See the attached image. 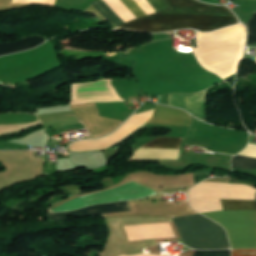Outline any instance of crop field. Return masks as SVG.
Instances as JSON below:
<instances>
[{"mask_svg": "<svg viewBox=\"0 0 256 256\" xmlns=\"http://www.w3.org/2000/svg\"><path fill=\"white\" fill-rule=\"evenodd\" d=\"M232 168H240V169L256 168V159L236 156L232 161Z\"/></svg>", "mask_w": 256, "mask_h": 256, "instance_id": "obj_12", "label": "crop field"}, {"mask_svg": "<svg viewBox=\"0 0 256 256\" xmlns=\"http://www.w3.org/2000/svg\"><path fill=\"white\" fill-rule=\"evenodd\" d=\"M127 211H131L127 202H122V203L89 206L85 209L71 211V212H64L59 214L49 213L47 218L54 221H63L67 217L95 216L99 214L127 212Z\"/></svg>", "mask_w": 256, "mask_h": 256, "instance_id": "obj_7", "label": "crop field"}, {"mask_svg": "<svg viewBox=\"0 0 256 256\" xmlns=\"http://www.w3.org/2000/svg\"><path fill=\"white\" fill-rule=\"evenodd\" d=\"M203 215L226 229L232 248L256 249V210L217 211Z\"/></svg>", "mask_w": 256, "mask_h": 256, "instance_id": "obj_3", "label": "crop field"}, {"mask_svg": "<svg viewBox=\"0 0 256 256\" xmlns=\"http://www.w3.org/2000/svg\"><path fill=\"white\" fill-rule=\"evenodd\" d=\"M44 41L45 38L35 35L19 41L0 43V55L32 48Z\"/></svg>", "mask_w": 256, "mask_h": 256, "instance_id": "obj_9", "label": "crop field"}, {"mask_svg": "<svg viewBox=\"0 0 256 256\" xmlns=\"http://www.w3.org/2000/svg\"><path fill=\"white\" fill-rule=\"evenodd\" d=\"M189 194H228L256 196V189L244 184L228 183H201L190 189ZM228 195H188L194 210L204 213L208 211L222 210L219 199H248L256 197L228 196Z\"/></svg>", "mask_w": 256, "mask_h": 256, "instance_id": "obj_4", "label": "crop field"}, {"mask_svg": "<svg viewBox=\"0 0 256 256\" xmlns=\"http://www.w3.org/2000/svg\"><path fill=\"white\" fill-rule=\"evenodd\" d=\"M152 123H162V124H171V125H179V126H186L189 127L191 124V118L188 113L181 111L179 109L166 107L162 105L156 104L155 111L153 117L147 121ZM146 122V123H147ZM145 123V124H146ZM144 124V125H145ZM143 125V126H144ZM142 127V126H141ZM136 132V131H135ZM132 135V134H131ZM126 137L125 139H127ZM124 139V140H125ZM123 141V140H122ZM121 142V141H120ZM119 142V143H120ZM118 144V143H117ZM116 145V144H115ZM105 150V149H104ZM100 151V150H97ZM69 152V148H68ZM92 152V151H86ZM77 153V152H72Z\"/></svg>", "mask_w": 256, "mask_h": 256, "instance_id": "obj_8", "label": "crop field"}, {"mask_svg": "<svg viewBox=\"0 0 256 256\" xmlns=\"http://www.w3.org/2000/svg\"><path fill=\"white\" fill-rule=\"evenodd\" d=\"M223 210L256 209V201L220 200Z\"/></svg>", "mask_w": 256, "mask_h": 256, "instance_id": "obj_10", "label": "crop field"}, {"mask_svg": "<svg viewBox=\"0 0 256 256\" xmlns=\"http://www.w3.org/2000/svg\"><path fill=\"white\" fill-rule=\"evenodd\" d=\"M182 139H170V138H161L153 140L143 147L147 148H168V149H179Z\"/></svg>", "mask_w": 256, "mask_h": 256, "instance_id": "obj_11", "label": "crop field"}, {"mask_svg": "<svg viewBox=\"0 0 256 256\" xmlns=\"http://www.w3.org/2000/svg\"><path fill=\"white\" fill-rule=\"evenodd\" d=\"M157 194L156 192L141 186L133 181H130L120 187H116L101 193L82 197L83 202L89 206L98 203L118 201V200H133ZM79 198H76L51 212H64L78 209L86 206Z\"/></svg>", "mask_w": 256, "mask_h": 256, "instance_id": "obj_5", "label": "crop field"}, {"mask_svg": "<svg viewBox=\"0 0 256 256\" xmlns=\"http://www.w3.org/2000/svg\"><path fill=\"white\" fill-rule=\"evenodd\" d=\"M194 256H230V250L195 251Z\"/></svg>", "mask_w": 256, "mask_h": 256, "instance_id": "obj_14", "label": "crop field"}, {"mask_svg": "<svg viewBox=\"0 0 256 256\" xmlns=\"http://www.w3.org/2000/svg\"><path fill=\"white\" fill-rule=\"evenodd\" d=\"M232 256H256V250H233Z\"/></svg>", "mask_w": 256, "mask_h": 256, "instance_id": "obj_15", "label": "crop field"}, {"mask_svg": "<svg viewBox=\"0 0 256 256\" xmlns=\"http://www.w3.org/2000/svg\"><path fill=\"white\" fill-rule=\"evenodd\" d=\"M125 6L133 13L135 17L146 16L142 10L133 2V0H121ZM156 12L167 9L164 0H147ZM113 27L124 23L118 15L107 5L104 0H96L91 3Z\"/></svg>", "mask_w": 256, "mask_h": 256, "instance_id": "obj_6", "label": "crop field"}, {"mask_svg": "<svg viewBox=\"0 0 256 256\" xmlns=\"http://www.w3.org/2000/svg\"><path fill=\"white\" fill-rule=\"evenodd\" d=\"M166 1V0H165ZM168 11L134 20L116 29L143 32L173 31L195 28L201 31H212L235 24L233 16L226 8L202 4L196 0H167ZM166 2V3H167ZM238 23V21H237ZM114 29V28H113Z\"/></svg>", "mask_w": 256, "mask_h": 256, "instance_id": "obj_1", "label": "crop field"}, {"mask_svg": "<svg viewBox=\"0 0 256 256\" xmlns=\"http://www.w3.org/2000/svg\"><path fill=\"white\" fill-rule=\"evenodd\" d=\"M185 245L192 249L229 248L224 229L217 223L194 214L172 217Z\"/></svg>", "mask_w": 256, "mask_h": 256, "instance_id": "obj_2", "label": "crop field"}, {"mask_svg": "<svg viewBox=\"0 0 256 256\" xmlns=\"http://www.w3.org/2000/svg\"><path fill=\"white\" fill-rule=\"evenodd\" d=\"M246 26L248 28L247 41L256 42V12Z\"/></svg>", "mask_w": 256, "mask_h": 256, "instance_id": "obj_13", "label": "crop field"}]
</instances>
